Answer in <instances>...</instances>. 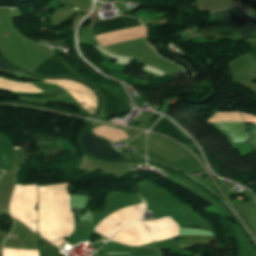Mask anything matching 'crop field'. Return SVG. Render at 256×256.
Wrapping results in <instances>:
<instances>
[{"mask_svg":"<svg viewBox=\"0 0 256 256\" xmlns=\"http://www.w3.org/2000/svg\"><path fill=\"white\" fill-rule=\"evenodd\" d=\"M212 126L224 134L228 144L247 141L245 127L243 123L222 122L218 124H212Z\"/></svg>","mask_w":256,"mask_h":256,"instance_id":"crop-field-5","label":"crop field"},{"mask_svg":"<svg viewBox=\"0 0 256 256\" xmlns=\"http://www.w3.org/2000/svg\"><path fill=\"white\" fill-rule=\"evenodd\" d=\"M27 0H0V6H6V7H17L19 5H22Z\"/></svg>","mask_w":256,"mask_h":256,"instance_id":"crop-field-9","label":"crop field"},{"mask_svg":"<svg viewBox=\"0 0 256 256\" xmlns=\"http://www.w3.org/2000/svg\"><path fill=\"white\" fill-rule=\"evenodd\" d=\"M214 241H216V238L213 237L179 236V244L181 248L192 247L197 244Z\"/></svg>","mask_w":256,"mask_h":256,"instance_id":"crop-field-7","label":"crop field"},{"mask_svg":"<svg viewBox=\"0 0 256 256\" xmlns=\"http://www.w3.org/2000/svg\"><path fill=\"white\" fill-rule=\"evenodd\" d=\"M52 52L53 55L45 60L39 67H37L34 72L48 75L64 74L73 77H79L89 82L94 87H96L103 96V116H109L125 111L126 106L124 104V100L116 87L101 85L82 77L78 72L70 67L53 49Z\"/></svg>","mask_w":256,"mask_h":256,"instance_id":"crop-field-1","label":"crop field"},{"mask_svg":"<svg viewBox=\"0 0 256 256\" xmlns=\"http://www.w3.org/2000/svg\"><path fill=\"white\" fill-rule=\"evenodd\" d=\"M38 242L41 256H63L59 253L58 247L52 246L40 238H38Z\"/></svg>","mask_w":256,"mask_h":256,"instance_id":"crop-field-8","label":"crop field"},{"mask_svg":"<svg viewBox=\"0 0 256 256\" xmlns=\"http://www.w3.org/2000/svg\"><path fill=\"white\" fill-rule=\"evenodd\" d=\"M0 256H1V253H0Z\"/></svg>","mask_w":256,"mask_h":256,"instance_id":"crop-field-11","label":"crop field"},{"mask_svg":"<svg viewBox=\"0 0 256 256\" xmlns=\"http://www.w3.org/2000/svg\"><path fill=\"white\" fill-rule=\"evenodd\" d=\"M0 69L8 71V72H12L14 73L15 71L12 70L11 68L7 67L1 60H0Z\"/></svg>","mask_w":256,"mask_h":256,"instance_id":"crop-field-10","label":"crop field"},{"mask_svg":"<svg viewBox=\"0 0 256 256\" xmlns=\"http://www.w3.org/2000/svg\"><path fill=\"white\" fill-rule=\"evenodd\" d=\"M82 146L88 154L95 157L110 160L122 159L120 153L116 152L110 143L90 136L87 131L82 137Z\"/></svg>","mask_w":256,"mask_h":256,"instance_id":"crop-field-3","label":"crop field"},{"mask_svg":"<svg viewBox=\"0 0 256 256\" xmlns=\"http://www.w3.org/2000/svg\"><path fill=\"white\" fill-rule=\"evenodd\" d=\"M136 25H140V23L132 17L119 16L104 21L93 22V34L96 35Z\"/></svg>","mask_w":256,"mask_h":256,"instance_id":"crop-field-4","label":"crop field"},{"mask_svg":"<svg viewBox=\"0 0 256 256\" xmlns=\"http://www.w3.org/2000/svg\"><path fill=\"white\" fill-rule=\"evenodd\" d=\"M211 15L233 28L243 37L251 36L256 28V21L241 10L238 5L232 9L218 11Z\"/></svg>","mask_w":256,"mask_h":256,"instance_id":"crop-field-2","label":"crop field"},{"mask_svg":"<svg viewBox=\"0 0 256 256\" xmlns=\"http://www.w3.org/2000/svg\"><path fill=\"white\" fill-rule=\"evenodd\" d=\"M155 131L167 134L177 141L185 144L189 142V140L182 135L166 118H162L160 121H158L152 128Z\"/></svg>","mask_w":256,"mask_h":256,"instance_id":"crop-field-6","label":"crop field"}]
</instances>
